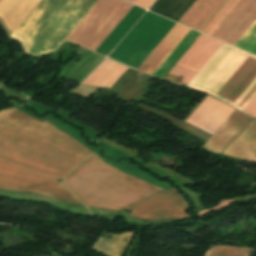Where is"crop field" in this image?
Listing matches in <instances>:
<instances>
[{
    "instance_id": "crop-field-4",
    "label": "crop field",
    "mask_w": 256,
    "mask_h": 256,
    "mask_svg": "<svg viewBox=\"0 0 256 256\" xmlns=\"http://www.w3.org/2000/svg\"><path fill=\"white\" fill-rule=\"evenodd\" d=\"M97 0H41L11 37L21 41L26 52L53 51L71 33Z\"/></svg>"
},
{
    "instance_id": "crop-field-10",
    "label": "crop field",
    "mask_w": 256,
    "mask_h": 256,
    "mask_svg": "<svg viewBox=\"0 0 256 256\" xmlns=\"http://www.w3.org/2000/svg\"><path fill=\"white\" fill-rule=\"evenodd\" d=\"M233 111L207 96L185 121L213 134Z\"/></svg>"
},
{
    "instance_id": "crop-field-1",
    "label": "crop field",
    "mask_w": 256,
    "mask_h": 256,
    "mask_svg": "<svg viewBox=\"0 0 256 256\" xmlns=\"http://www.w3.org/2000/svg\"><path fill=\"white\" fill-rule=\"evenodd\" d=\"M47 120L12 107L0 112V158L55 180L94 154Z\"/></svg>"
},
{
    "instance_id": "crop-field-14",
    "label": "crop field",
    "mask_w": 256,
    "mask_h": 256,
    "mask_svg": "<svg viewBox=\"0 0 256 256\" xmlns=\"http://www.w3.org/2000/svg\"><path fill=\"white\" fill-rule=\"evenodd\" d=\"M223 154L256 162V120L252 119L249 126L226 147Z\"/></svg>"
},
{
    "instance_id": "crop-field-6",
    "label": "crop field",
    "mask_w": 256,
    "mask_h": 256,
    "mask_svg": "<svg viewBox=\"0 0 256 256\" xmlns=\"http://www.w3.org/2000/svg\"><path fill=\"white\" fill-rule=\"evenodd\" d=\"M0 189L30 192L82 204L72 193L57 182L2 160H0Z\"/></svg>"
},
{
    "instance_id": "crop-field-7",
    "label": "crop field",
    "mask_w": 256,
    "mask_h": 256,
    "mask_svg": "<svg viewBox=\"0 0 256 256\" xmlns=\"http://www.w3.org/2000/svg\"><path fill=\"white\" fill-rule=\"evenodd\" d=\"M256 20V0H242L212 37L232 46ZM235 47L256 55V21Z\"/></svg>"
},
{
    "instance_id": "crop-field-11",
    "label": "crop field",
    "mask_w": 256,
    "mask_h": 256,
    "mask_svg": "<svg viewBox=\"0 0 256 256\" xmlns=\"http://www.w3.org/2000/svg\"><path fill=\"white\" fill-rule=\"evenodd\" d=\"M251 119L235 110L202 148L219 154L228 143L244 130Z\"/></svg>"
},
{
    "instance_id": "crop-field-8",
    "label": "crop field",
    "mask_w": 256,
    "mask_h": 256,
    "mask_svg": "<svg viewBox=\"0 0 256 256\" xmlns=\"http://www.w3.org/2000/svg\"><path fill=\"white\" fill-rule=\"evenodd\" d=\"M185 201L176 189L164 190L128 208L129 217L143 220L187 218Z\"/></svg>"
},
{
    "instance_id": "crop-field-2",
    "label": "crop field",
    "mask_w": 256,
    "mask_h": 256,
    "mask_svg": "<svg viewBox=\"0 0 256 256\" xmlns=\"http://www.w3.org/2000/svg\"><path fill=\"white\" fill-rule=\"evenodd\" d=\"M86 206L105 210H124L146 197L164 190L113 168L97 154L63 182Z\"/></svg>"
},
{
    "instance_id": "crop-field-19",
    "label": "crop field",
    "mask_w": 256,
    "mask_h": 256,
    "mask_svg": "<svg viewBox=\"0 0 256 256\" xmlns=\"http://www.w3.org/2000/svg\"><path fill=\"white\" fill-rule=\"evenodd\" d=\"M199 35H200V33L191 30L189 32V34L182 40V42L175 48V50L169 55V57L162 63V65L155 71L153 76L163 78L165 76V74L177 62V60L184 54V52L198 38Z\"/></svg>"
},
{
    "instance_id": "crop-field-15",
    "label": "crop field",
    "mask_w": 256,
    "mask_h": 256,
    "mask_svg": "<svg viewBox=\"0 0 256 256\" xmlns=\"http://www.w3.org/2000/svg\"><path fill=\"white\" fill-rule=\"evenodd\" d=\"M223 0H196L178 23L198 30Z\"/></svg>"
},
{
    "instance_id": "crop-field-12",
    "label": "crop field",
    "mask_w": 256,
    "mask_h": 256,
    "mask_svg": "<svg viewBox=\"0 0 256 256\" xmlns=\"http://www.w3.org/2000/svg\"><path fill=\"white\" fill-rule=\"evenodd\" d=\"M189 31L190 29L176 24L154 49V51L147 57V59L140 65L138 70L152 75Z\"/></svg>"
},
{
    "instance_id": "crop-field-3",
    "label": "crop field",
    "mask_w": 256,
    "mask_h": 256,
    "mask_svg": "<svg viewBox=\"0 0 256 256\" xmlns=\"http://www.w3.org/2000/svg\"><path fill=\"white\" fill-rule=\"evenodd\" d=\"M187 86L244 111L256 97V57L222 43ZM244 112L256 117V98Z\"/></svg>"
},
{
    "instance_id": "crop-field-9",
    "label": "crop field",
    "mask_w": 256,
    "mask_h": 256,
    "mask_svg": "<svg viewBox=\"0 0 256 256\" xmlns=\"http://www.w3.org/2000/svg\"><path fill=\"white\" fill-rule=\"evenodd\" d=\"M220 44L221 42L201 34L169 72L182 78L167 74L164 79L186 86ZM179 79L186 83L178 81Z\"/></svg>"
},
{
    "instance_id": "crop-field-16",
    "label": "crop field",
    "mask_w": 256,
    "mask_h": 256,
    "mask_svg": "<svg viewBox=\"0 0 256 256\" xmlns=\"http://www.w3.org/2000/svg\"><path fill=\"white\" fill-rule=\"evenodd\" d=\"M126 69L127 67L106 59L82 83L110 87Z\"/></svg>"
},
{
    "instance_id": "crop-field-21",
    "label": "crop field",
    "mask_w": 256,
    "mask_h": 256,
    "mask_svg": "<svg viewBox=\"0 0 256 256\" xmlns=\"http://www.w3.org/2000/svg\"><path fill=\"white\" fill-rule=\"evenodd\" d=\"M153 1L154 0H137L135 4L147 9Z\"/></svg>"
},
{
    "instance_id": "crop-field-13",
    "label": "crop field",
    "mask_w": 256,
    "mask_h": 256,
    "mask_svg": "<svg viewBox=\"0 0 256 256\" xmlns=\"http://www.w3.org/2000/svg\"><path fill=\"white\" fill-rule=\"evenodd\" d=\"M39 1L40 0H0V21L9 36Z\"/></svg>"
},
{
    "instance_id": "crop-field-22",
    "label": "crop field",
    "mask_w": 256,
    "mask_h": 256,
    "mask_svg": "<svg viewBox=\"0 0 256 256\" xmlns=\"http://www.w3.org/2000/svg\"><path fill=\"white\" fill-rule=\"evenodd\" d=\"M127 1H130V2L134 3L136 0H127Z\"/></svg>"
},
{
    "instance_id": "crop-field-17",
    "label": "crop field",
    "mask_w": 256,
    "mask_h": 256,
    "mask_svg": "<svg viewBox=\"0 0 256 256\" xmlns=\"http://www.w3.org/2000/svg\"><path fill=\"white\" fill-rule=\"evenodd\" d=\"M134 232H124L122 235H113L111 240L100 238L92 249L106 256H121Z\"/></svg>"
},
{
    "instance_id": "crop-field-18",
    "label": "crop field",
    "mask_w": 256,
    "mask_h": 256,
    "mask_svg": "<svg viewBox=\"0 0 256 256\" xmlns=\"http://www.w3.org/2000/svg\"><path fill=\"white\" fill-rule=\"evenodd\" d=\"M241 0H224L199 31L211 36Z\"/></svg>"
},
{
    "instance_id": "crop-field-5",
    "label": "crop field",
    "mask_w": 256,
    "mask_h": 256,
    "mask_svg": "<svg viewBox=\"0 0 256 256\" xmlns=\"http://www.w3.org/2000/svg\"><path fill=\"white\" fill-rule=\"evenodd\" d=\"M132 7L122 0H98L65 39L95 51Z\"/></svg>"
},
{
    "instance_id": "crop-field-20",
    "label": "crop field",
    "mask_w": 256,
    "mask_h": 256,
    "mask_svg": "<svg viewBox=\"0 0 256 256\" xmlns=\"http://www.w3.org/2000/svg\"><path fill=\"white\" fill-rule=\"evenodd\" d=\"M251 249L213 246L205 256H248Z\"/></svg>"
}]
</instances>
